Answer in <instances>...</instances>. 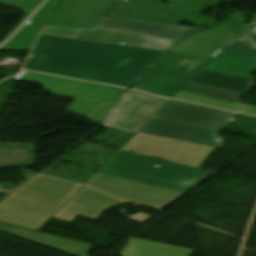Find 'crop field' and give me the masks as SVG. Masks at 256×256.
Here are the masks:
<instances>
[{
  "label": "crop field",
  "mask_w": 256,
  "mask_h": 256,
  "mask_svg": "<svg viewBox=\"0 0 256 256\" xmlns=\"http://www.w3.org/2000/svg\"><path fill=\"white\" fill-rule=\"evenodd\" d=\"M173 98L189 101V102L210 105V106L219 107L223 109L233 110L237 112H240L242 109L240 105L235 103H230V102H226V101H222V100H218V99H214V98H210L202 95L182 92V91H179Z\"/></svg>",
  "instance_id": "crop-field-20"
},
{
  "label": "crop field",
  "mask_w": 256,
  "mask_h": 256,
  "mask_svg": "<svg viewBox=\"0 0 256 256\" xmlns=\"http://www.w3.org/2000/svg\"><path fill=\"white\" fill-rule=\"evenodd\" d=\"M98 172L107 174V175H111V176H116V177H120V178H124V179H128V180H133V181L149 184V185H154V186H158V187H162V188H166V189H171V190H175V191H179V192H183V193H186L189 190L193 189L191 187H186V186L168 183V182H164V181H159V180H155V179H150V178H146V177L136 176V175L118 172V171H114V170H109V169H105V168H102Z\"/></svg>",
  "instance_id": "crop-field-19"
},
{
  "label": "crop field",
  "mask_w": 256,
  "mask_h": 256,
  "mask_svg": "<svg viewBox=\"0 0 256 256\" xmlns=\"http://www.w3.org/2000/svg\"><path fill=\"white\" fill-rule=\"evenodd\" d=\"M42 1L43 0H0V4L26 11L20 21V23H22Z\"/></svg>",
  "instance_id": "crop-field-24"
},
{
  "label": "crop field",
  "mask_w": 256,
  "mask_h": 256,
  "mask_svg": "<svg viewBox=\"0 0 256 256\" xmlns=\"http://www.w3.org/2000/svg\"><path fill=\"white\" fill-rule=\"evenodd\" d=\"M256 17L245 25L202 69L251 79L256 71Z\"/></svg>",
  "instance_id": "crop-field-6"
},
{
  "label": "crop field",
  "mask_w": 256,
  "mask_h": 256,
  "mask_svg": "<svg viewBox=\"0 0 256 256\" xmlns=\"http://www.w3.org/2000/svg\"><path fill=\"white\" fill-rule=\"evenodd\" d=\"M235 35L233 33L203 30L185 38L169 51L213 57Z\"/></svg>",
  "instance_id": "crop-field-15"
},
{
  "label": "crop field",
  "mask_w": 256,
  "mask_h": 256,
  "mask_svg": "<svg viewBox=\"0 0 256 256\" xmlns=\"http://www.w3.org/2000/svg\"><path fill=\"white\" fill-rule=\"evenodd\" d=\"M182 91L202 94L230 102H236V99L242 95L241 93L232 92L228 90H223L219 88L214 87H208V86H202V85H196V84H190L187 83L182 89Z\"/></svg>",
  "instance_id": "crop-field-21"
},
{
  "label": "crop field",
  "mask_w": 256,
  "mask_h": 256,
  "mask_svg": "<svg viewBox=\"0 0 256 256\" xmlns=\"http://www.w3.org/2000/svg\"><path fill=\"white\" fill-rule=\"evenodd\" d=\"M210 59L168 52L132 88L172 98Z\"/></svg>",
  "instance_id": "crop-field-4"
},
{
  "label": "crop field",
  "mask_w": 256,
  "mask_h": 256,
  "mask_svg": "<svg viewBox=\"0 0 256 256\" xmlns=\"http://www.w3.org/2000/svg\"><path fill=\"white\" fill-rule=\"evenodd\" d=\"M79 191L131 201L158 210L183 195V193L143 185L99 173H96Z\"/></svg>",
  "instance_id": "crop-field-5"
},
{
  "label": "crop field",
  "mask_w": 256,
  "mask_h": 256,
  "mask_svg": "<svg viewBox=\"0 0 256 256\" xmlns=\"http://www.w3.org/2000/svg\"><path fill=\"white\" fill-rule=\"evenodd\" d=\"M193 249L130 238L121 256H190Z\"/></svg>",
  "instance_id": "crop-field-17"
},
{
  "label": "crop field",
  "mask_w": 256,
  "mask_h": 256,
  "mask_svg": "<svg viewBox=\"0 0 256 256\" xmlns=\"http://www.w3.org/2000/svg\"><path fill=\"white\" fill-rule=\"evenodd\" d=\"M245 107H246L245 109L246 113L256 115V107L249 106V105H246Z\"/></svg>",
  "instance_id": "crop-field-27"
},
{
  "label": "crop field",
  "mask_w": 256,
  "mask_h": 256,
  "mask_svg": "<svg viewBox=\"0 0 256 256\" xmlns=\"http://www.w3.org/2000/svg\"><path fill=\"white\" fill-rule=\"evenodd\" d=\"M190 83L208 85L244 93L252 85V80L223 75L200 70L190 81Z\"/></svg>",
  "instance_id": "crop-field-18"
},
{
  "label": "crop field",
  "mask_w": 256,
  "mask_h": 256,
  "mask_svg": "<svg viewBox=\"0 0 256 256\" xmlns=\"http://www.w3.org/2000/svg\"><path fill=\"white\" fill-rule=\"evenodd\" d=\"M232 14L228 21L222 22L214 27L209 28V30L225 31L237 33L245 24L246 21L244 15L241 13L232 11Z\"/></svg>",
  "instance_id": "crop-field-23"
},
{
  "label": "crop field",
  "mask_w": 256,
  "mask_h": 256,
  "mask_svg": "<svg viewBox=\"0 0 256 256\" xmlns=\"http://www.w3.org/2000/svg\"><path fill=\"white\" fill-rule=\"evenodd\" d=\"M0 230L5 231L19 237L49 246L51 248L73 254L76 256H86L92 248V245L40 233L25 229H20L0 223Z\"/></svg>",
  "instance_id": "crop-field-16"
},
{
  "label": "crop field",
  "mask_w": 256,
  "mask_h": 256,
  "mask_svg": "<svg viewBox=\"0 0 256 256\" xmlns=\"http://www.w3.org/2000/svg\"><path fill=\"white\" fill-rule=\"evenodd\" d=\"M109 161L198 182L203 181L205 178L212 174L198 169H193L121 151H118ZM155 165H158L157 168L154 167Z\"/></svg>",
  "instance_id": "crop-field-12"
},
{
  "label": "crop field",
  "mask_w": 256,
  "mask_h": 256,
  "mask_svg": "<svg viewBox=\"0 0 256 256\" xmlns=\"http://www.w3.org/2000/svg\"><path fill=\"white\" fill-rule=\"evenodd\" d=\"M150 217V215H147V214H144V213H141V212H138L128 218L130 219H133V220H136L138 222H141L143 223L146 219H148Z\"/></svg>",
  "instance_id": "crop-field-26"
},
{
  "label": "crop field",
  "mask_w": 256,
  "mask_h": 256,
  "mask_svg": "<svg viewBox=\"0 0 256 256\" xmlns=\"http://www.w3.org/2000/svg\"><path fill=\"white\" fill-rule=\"evenodd\" d=\"M156 115L221 129L234 113L171 100Z\"/></svg>",
  "instance_id": "crop-field-10"
},
{
  "label": "crop field",
  "mask_w": 256,
  "mask_h": 256,
  "mask_svg": "<svg viewBox=\"0 0 256 256\" xmlns=\"http://www.w3.org/2000/svg\"><path fill=\"white\" fill-rule=\"evenodd\" d=\"M114 0H55L43 25L94 28Z\"/></svg>",
  "instance_id": "crop-field-8"
},
{
  "label": "crop field",
  "mask_w": 256,
  "mask_h": 256,
  "mask_svg": "<svg viewBox=\"0 0 256 256\" xmlns=\"http://www.w3.org/2000/svg\"><path fill=\"white\" fill-rule=\"evenodd\" d=\"M75 39L105 42L166 51L173 42L152 38L129 31L97 26L95 30H79Z\"/></svg>",
  "instance_id": "crop-field-11"
},
{
  "label": "crop field",
  "mask_w": 256,
  "mask_h": 256,
  "mask_svg": "<svg viewBox=\"0 0 256 256\" xmlns=\"http://www.w3.org/2000/svg\"><path fill=\"white\" fill-rule=\"evenodd\" d=\"M124 201L76 192L52 217L72 222L77 216L96 220L103 209Z\"/></svg>",
  "instance_id": "crop-field-13"
},
{
  "label": "crop field",
  "mask_w": 256,
  "mask_h": 256,
  "mask_svg": "<svg viewBox=\"0 0 256 256\" xmlns=\"http://www.w3.org/2000/svg\"><path fill=\"white\" fill-rule=\"evenodd\" d=\"M165 103L150 95L128 90L104 117L103 126L136 133Z\"/></svg>",
  "instance_id": "crop-field-7"
},
{
  "label": "crop field",
  "mask_w": 256,
  "mask_h": 256,
  "mask_svg": "<svg viewBox=\"0 0 256 256\" xmlns=\"http://www.w3.org/2000/svg\"><path fill=\"white\" fill-rule=\"evenodd\" d=\"M16 79L43 84L45 89L51 91L53 95L76 98L67 110L83 116H89L101 102L114 103L120 93L125 90L124 88L30 72H25L17 76Z\"/></svg>",
  "instance_id": "crop-field-3"
},
{
  "label": "crop field",
  "mask_w": 256,
  "mask_h": 256,
  "mask_svg": "<svg viewBox=\"0 0 256 256\" xmlns=\"http://www.w3.org/2000/svg\"><path fill=\"white\" fill-rule=\"evenodd\" d=\"M97 25L125 29L169 41L176 42L183 37L201 29L180 27L169 24L148 23L131 20L109 18L103 16Z\"/></svg>",
  "instance_id": "crop-field-14"
},
{
  "label": "crop field",
  "mask_w": 256,
  "mask_h": 256,
  "mask_svg": "<svg viewBox=\"0 0 256 256\" xmlns=\"http://www.w3.org/2000/svg\"><path fill=\"white\" fill-rule=\"evenodd\" d=\"M104 166L109 167V168H113V169H118V170H122V171L135 173V174L149 176V177H153V178H157V179L171 181V182H175V183H179V184H183V185H187V186H191V187L193 185L200 184L198 182H194V181H190V180L176 178V177H172V176H168V175H163V174H159V173H154V172H150V171L136 169V168L123 166V165H119V164H114V163H110V162H107Z\"/></svg>",
  "instance_id": "crop-field-22"
},
{
  "label": "crop field",
  "mask_w": 256,
  "mask_h": 256,
  "mask_svg": "<svg viewBox=\"0 0 256 256\" xmlns=\"http://www.w3.org/2000/svg\"><path fill=\"white\" fill-rule=\"evenodd\" d=\"M139 131L177 140L220 147L223 138L220 130L154 116ZM221 140L220 142L215 141Z\"/></svg>",
  "instance_id": "crop-field-9"
},
{
  "label": "crop field",
  "mask_w": 256,
  "mask_h": 256,
  "mask_svg": "<svg viewBox=\"0 0 256 256\" xmlns=\"http://www.w3.org/2000/svg\"><path fill=\"white\" fill-rule=\"evenodd\" d=\"M82 185L39 173L0 203V221L38 231Z\"/></svg>",
  "instance_id": "crop-field-2"
},
{
  "label": "crop field",
  "mask_w": 256,
  "mask_h": 256,
  "mask_svg": "<svg viewBox=\"0 0 256 256\" xmlns=\"http://www.w3.org/2000/svg\"><path fill=\"white\" fill-rule=\"evenodd\" d=\"M32 53L25 69L128 87L164 52L40 35Z\"/></svg>",
  "instance_id": "crop-field-1"
},
{
  "label": "crop field",
  "mask_w": 256,
  "mask_h": 256,
  "mask_svg": "<svg viewBox=\"0 0 256 256\" xmlns=\"http://www.w3.org/2000/svg\"><path fill=\"white\" fill-rule=\"evenodd\" d=\"M76 28L43 26L40 33L73 37Z\"/></svg>",
  "instance_id": "crop-field-25"
}]
</instances>
